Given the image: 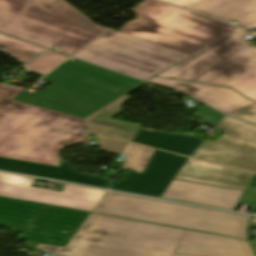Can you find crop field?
<instances>
[{"mask_svg": "<svg viewBox=\"0 0 256 256\" xmlns=\"http://www.w3.org/2000/svg\"><path fill=\"white\" fill-rule=\"evenodd\" d=\"M24 90L0 83V157L59 166L58 151L81 143L88 134L87 123L11 101Z\"/></svg>", "mask_w": 256, "mask_h": 256, "instance_id": "1", "label": "crop field"}, {"mask_svg": "<svg viewBox=\"0 0 256 256\" xmlns=\"http://www.w3.org/2000/svg\"><path fill=\"white\" fill-rule=\"evenodd\" d=\"M185 230L90 213L66 247L50 256H172Z\"/></svg>", "mask_w": 256, "mask_h": 256, "instance_id": "2", "label": "crop field"}, {"mask_svg": "<svg viewBox=\"0 0 256 256\" xmlns=\"http://www.w3.org/2000/svg\"><path fill=\"white\" fill-rule=\"evenodd\" d=\"M42 80L45 92L24 91L13 100L85 117L142 82L85 62H64Z\"/></svg>", "mask_w": 256, "mask_h": 256, "instance_id": "3", "label": "crop field"}, {"mask_svg": "<svg viewBox=\"0 0 256 256\" xmlns=\"http://www.w3.org/2000/svg\"><path fill=\"white\" fill-rule=\"evenodd\" d=\"M105 28L67 2L44 11L27 0H0V32L68 55Z\"/></svg>", "mask_w": 256, "mask_h": 256, "instance_id": "4", "label": "crop field"}, {"mask_svg": "<svg viewBox=\"0 0 256 256\" xmlns=\"http://www.w3.org/2000/svg\"><path fill=\"white\" fill-rule=\"evenodd\" d=\"M131 11L137 18L120 32L189 55L237 28L154 0H145Z\"/></svg>", "mask_w": 256, "mask_h": 256, "instance_id": "5", "label": "crop field"}, {"mask_svg": "<svg viewBox=\"0 0 256 256\" xmlns=\"http://www.w3.org/2000/svg\"><path fill=\"white\" fill-rule=\"evenodd\" d=\"M94 213L248 239L251 217L107 192Z\"/></svg>", "mask_w": 256, "mask_h": 256, "instance_id": "6", "label": "crop field"}, {"mask_svg": "<svg viewBox=\"0 0 256 256\" xmlns=\"http://www.w3.org/2000/svg\"><path fill=\"white\" fill-rule=\"evenodd\" d=\"M71 56L146 81L189 55L107 28Z\"/></svg>", "mask_w": 256, "mask_h": 256, "instance_id": "7", "label": "crop field"}, {"mask_svg": "<svg viewBox=\"0 0 256 256\" xmlns=\"http://www.w3.org/2000/svg\"><path fill=\"white\" fill-rule=\"evenodd\" d=\"M246 35L238 28L157 76L231 87L256 69V46Z\"/></svg>", "mask_w": 256, "mask_h": 256, "instance_id": "8", "label": "crop field"}, {"mask_svg": "<svg viewBox=\"0 0 256 256\" xmlns=\"http://www.w3.org/2000/svg\"><path fill=\"white\" fill-rule=\"evenodd\" d=\"M88 214L4 198L0 226L25 229L22 240L66 246Z\"/></svg>", "mask_w": 256, "mask_h": 256, "instance_id": "9", "label": "crop field"}, {"mask_svg": "<svg viewBox=\"0 0 256 256\" xmlns=\"http://www.w3.org/2000/svg\"><path fill=\"white\" fill-rule=\"evenodd\" d=\"M34 179L0 173V195L92 212L104 191L70 186L63 193L31 187Z\"/></svg>", "mask_w": 256, "mask_h": 256, "instance_id": "10", "label": "crop field"}, {"mask_svg": "<svg viewBox=\"0 0 256 256\" xmlns=\"http://www.w3.org/2000/svg\"><path fill=\"white\" fill-rule=\"evenodd\" d=\"M187 157L155 150L143 174L127 171L111 188L161 197Z\"/></svg>", "mask_w": 256, "mask_h": 256, "instance_id": "11", "label": "crop field"}, {"mask_svg": "<svg viewBox=\"0 0 256 256\" xmlns=\"http://www.w3.org/2000/svg\"><path fill=\"white\" fill-rule=\"evenodd\" d=\"M192 157L256 172V143L222 134L204 139Z\"/></svg>", "mask_w": 256, "mask_h": 256, "instance_id": "12", "label": "crop field"}, {"mask_svg": "<svg viewBox=\"0 0 256 256\" xmlns=\"http://www.w3.org/2000/svg\"><path fill=\"white\" fill-rule=\"evenodd\" d=\"M253 175L189 158L175 179L246 190Z\"/></svg>", "mask_w": 256, "mask_h": 256, "instance_id": "13", "label": "crop field"}, {"mask_svg": "<svg viewBox=\"0 0 256 256\" xmlns=\"http://www.w3.org/2000/svg\"><path fill=\"white\" fill-rule=\"evenodd\" d=\"M242 191L173 180L163 198L234 210Z\"/></svg>", "mask_w": 256, "mask_h": 256, "instance_id": "14", "label": "crop field"}, {"mask_svg": "<svg viewBox=\"0 0 256 256\" xmlns=\"http://www.w3.org/2000/svg\"><path fill=\"white\" fill-rule=\"evenodd\" d=\"M176 252L200 256H254L245 240L188 230Z\"/></svg>", "mask_w": 256, "mask_h": 256, "instance_id": "15", "label": "crop field"}, {"mask_svg": "<svg viewBox=\"0 0 256 256\" xmlns=\"http://www.w3.org/2000/svg\"><path fill=\"white\" fill-rule=\"evenodd\" d=\"M148 82L184 92L225 114L254 102L242 97L230 89L223 87L199 85L158 78H153Z\"/></svg>", "mask_w": 256, "mask_h": 256, "instance_id": "16", "label": "crop field"}, {"mask_svg": "<svg viewBox=\"0 0 256 256\" xmlns=\"http://www.w3.org/2000/svg\"><path fill=\"white\" fill-rule=\"evenodd\" d=\"M0 169L108 188L110 180L81 174L61 160L60 167L0 158Z\"/></svg>", "mask_w": 256, "mask_h": 256, "instance_id": "17", "label": "crop field"}, {"mask_svg": "<svg viewBox=\"0 0 256 256\" xmlns=\"http://www.w3.org/2000/svg\"><path fill=\"white\" fill-rule=\"evenodd\" d=\"M224 21L246 26L256 23V0H203L185 7Z\"/></svg>", "mask_w": 256, "mask_h": 256, "instance_id": "18", "label": "crop field"}, {"mask_svg": "<svg viewBox=\"0 0 256 256\" xmlns=\"http://www.w3.org/2000/svg\"><path fill=\"white\" fill-rule=\"evenodd\" d=\"M202 140L201 138L181 136L161 131H150L142 128L131 139L132 142L185 156L192 155Z\"/></svg>", "mask_w": 256, "mask_h": 256, "instance_id": "19", "label": "crop field"}, {"mask_svg": "<svg viewBox=\"0 0 256 256\" xmlns=\"http://www.w3.org/2000/svg\"><path fill=\"white\" fill-rule=\"evenodd\" d=\"M121 97L84 118L87 120L90 134L130 141L141 125L116 121L105 116Z\"/></svg>", "mask_w": 256, "mask_h": 256, "instance_id": "20", "label": "crop field"}, {"mask_svg": "<svg viewBox=\"0 0 256 256\" xmlns=\"http://www.w3.org/2000/svg\"><path fill=\"white\" fill-rule=\"evenodd\" d=\"M0 44L7 46L6 49L0 51L22 63L35 57L41 53L44 48L21 42L0 34Z\"/></svg>", "mask_w": 256, "mask_h": 256, "instance_id": "21", "label": "crop field"}, {"mask_svg": "<svg viewBox=\"0 0 256 256\" xmlns=\"http://www.w3.org/2000/svg\"><path fill=\"white\" fill-rule=\"evenodd\" d=\"M153 152L154 149L130 143L122 154L126 162L122 169L142 173Z\"/></svg>", "mask_w": 256, "mask_h": 256, "instance_id": "22", "label": "crop field"}, {"mask_svg": "<svg viewBox=\"0 0 256 256\" xmlns=\"http://www.w3.org/2000/svg\"><path fill=\"white\" fill-rule=\"evenodd\" d=\"M217 129L226 131L224 134L256 142L255 125L225 117L217 126Z\"/></svg>", "mask_w": 256, "mask_h": 256, "instance_id": "23", "label": "crop field"}, {"mask_svg": "<svg viewBox=\"0 0 256 256\" xmlns=\"http://www.w3.org/2000/svg\"><path fill=\"white\" fill-rule=\"evenodd\" d=\"M43 54L45 55L37 56L36 58H34L29 63L22 66L21 68L44 75L48 71L53 69L55 66H57L59 63L64 61L66 58H68L66 56L60 55L58 53H55L49 50H47Z\"/></svg>", "mask_w": 256, "mask_h": 256, "instance_id": "24", "label": "crop field"}, {"mask_svg": "<svg viewBox=\"0 0 256 256\" xmlns=\"http://www.w3.org/2000/svg\"><path fill=\"white\" fill-rule=\"evenodd\" d=\"M232 88L236 89L245 96L256 100V70L235 84Z\"/></svg>", "mask_w": 256, "mask_h": 256, "instance_id": "25", "label": "crop field"}, {"mask_svg": "<svg viewBox=\"0 0 256 256\" xmlns=\"http://www.w3.org/2000/svg\"><path fill=\"white\" fill-rule=\"evenodd\" d=\"M127 144V142L115 141L100 137L96 146L106 153L119 155Z\"/></svg>", "mask_w": 256, "mask_h": 256, "instance_id": "26", "label": "crop field"}, {"mask_svg": "<svg viewBox=\"0 0 256 256\" xmlns=\"http://www.w3.org/2000/svg\"><path fill=\"white\" fill-rule=\"evenodd\" d=\"M197 118L205 121L211 126H216L220 119L224 116L206 106L200 107L196 112ZM204 122V123H205Z\"/></svg>", "mask_w": 256, "mask_h": 256, "instance_id": "27", "label": "crop field"}, {"mask_svg": "<svg viewBox=\"0 0 256 256\" xmlns=\"http://www.w3.org/2000/svg\"><path fill=\"white\" fill-rule=\"evenodd\" d=\"M228 115L256 123V102Z\"/></svg>", "mask_w": 256, "mask_h": 256, "instance_id": "28", "label": "crop field"}, {"mask_svg": "<svg viewBox=\"0 0 256 256\" xmlns=\"http://www.w3.org/2000/svg\"><path fill=\"white\" fill-rule=\"evenodd\" d=\"M239 202L255 205L256 204V193L244 191Z\"/></svg>", "mask_w": 256, "mask_h": 256, "instance_id": "29", "label": "crop field"}, {"mask_svg": "<svg viewBox=\"0 0 256 256\" xmlns=\"http://www.w3.org/2000/svg\"><path fill=\"white\" fill-rule=\"evenodd\" d=\"M30 1L37 3L44 10H47V9L63 2L64 0H30Z\"/></svg>", "mask_w": 256, "mask_h": 256, "instance_id": "30", "label": "crop field"}, {"mask_svg": "<svg viewBox=\"0 0 256 256\" xmlns=\"http://www.w3.org/2000/svg\"><path fill=\"white\" fill-rule=\"evenodd\" d=\"M145 84H146V83H144V84L138 86L137 88L131 90L130 92H132V91H134V90H136V89L142 87V86L145 85ZM130 92H128V93H130ZM128 93L124 94V96L119 100V102L117 101L118 103L110 110V112L107 114V116L111 117V116H113V115H115V114H117V113L120 112L119 106H120L124 101H126V100L128 99V97H126ZM128 95H129V94H128Z\"/></svg>", "mask_w": 256, "mask_h": 256, "instance_id": "31", "label": "crop field"}, {"mask_svg": "<svg viewBox=\"0 0 256 256\" xmlns=\"http://www.w3.org/2000/svg\"><path fill=\"white\" fill-rule=\"evenodd\" d=\"M181 7H185L187 5L193 4L195 2L201 1V0H163Z\"/></svg>", "mask_w": 256, "mask_h": 256, "instance_id": "32", "label": "crop field"}, {"mask_svg": "<svg viewBox=\"0 0 256 256\" xmlns=\"http://www.w3.org/2000/svg\"><path fill=\"white\" fill-rule=\"evenodd\" d=\"M173 256H192V255H185V254H178V253H174Z\"/></svg>", "mask_w": 256, "mask_h": 256, "instance_id": "33", "label": "crop field"}, {"mask_svg": "<svg viewBox=\"0 0 256 256\" xmlns=\"http://www.w3.org/2000/svg\"><path fill=\"white\" fill-rule=\"evenodd\" d=\"M247 28L251 29V28H255L256 27V24H253V25H249V26H246Z\"/></svg>", "mask_w": 256, "mask_h": 256, "instance_id": "34", "label": "crop field"}, {"mask_svg": "<svg viewBox=\"0 0 256 256\" xmlns=\"http://www.w3.org/2000/svg\"><path fill=\"white\" fill-rule=\"evenodd\" d=\"M2 199H3V198H2V197H0V202L2 201Z\"/></svg>", "mask_w": 256, "mask_h": 256, "instance_id": "35", "label": "crop field"}]
</instances>
